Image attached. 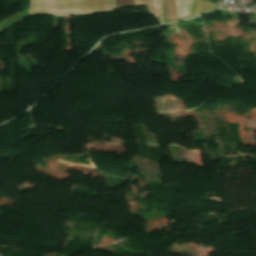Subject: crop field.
<instances>
[{"label":"crop field","mask_w":256,"mask_h":256,"mask_svg":"<svg viewBox=\"0 0 256 256\" xmlns=\"http://www.w3.org/2000/svg\"><path fill=\"white\" fill-rule=\"evenodd\" d=\"M114 0H31L28 13L71 15L116 11Z\"/></svg>","instance_id":"8a807250"},{"label":"crop field","mask_w":256,"mask_h":256,"mask_svg":"<svg viewBox=\"0 0 256 256\" xmlns=\"http://www.w3.org/2000/svg\"><path fill=\"white\" fill-rule=\"evenodd\" d=\"M179 20L192 16L195 0H176Z\"/></svg>","instance_id":"ac0d7876"},{"label":"crop field","mask_w":256,"mask_h":256,"mask_svg":"<svg viewBox=\"0 0 256 256\" xmlns=\"http://www.w3.org/2000/svg\"><path fill=\"white\" fill-rule=\"evenodd\" d=\"M136 7L148 5L150 12L154 15L161 14L159 0H135Z\"/></svg>","instance_id":"34b2d1b8"},{"label":"crop field","mask_w":256,"mask_h":256,"mask_svg":"<svg viewBox=\"0 0 256 256\" xmlns=\"http://www.w3.org/2000/svg\"><path fill=\"white\" fill-rule=\"evenodd\" d=\"M170 22L178 20L175 0H167Z\"/></svg>","instance_id":"412701ff"}]
</instances>
